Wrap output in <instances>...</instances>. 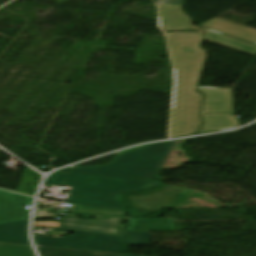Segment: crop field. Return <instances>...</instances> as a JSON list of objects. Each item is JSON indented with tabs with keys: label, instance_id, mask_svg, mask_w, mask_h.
Returning <instances> with one entry per match:
<instances>
[{
	"label": "crop field",
	"instance_id": "crop-field-16",
	"mask_svg": "<svg viewBox=\"0 0 256 256\" xmlns=\"http://www.w3.org/2000/svg\"><path fill=\"white\" fill-rule=\"evenodd\" d=\"M129 245H150V232H128Z\"/></svg>",
	"mask_w": 256,
	"mask_h": 256
},
{
	"label": "crop field",
	"instance_id": "crop-field-7",
	"mask_svg": "<svg viewBox=\"0 0 256 256\" xmlns=\"http://www.w3.org/2000/svg\"><path fill=\"white\" fill-rule=\"evenodd\" d=\"M32 199L0 190V223L28 219L29 210H23V204H31Z\"/></svg>",
	"mask_w": 256,
	"mask_h": 256
},
{
	"label": "crop field",
	"instance_id": "crop-field-2",
	"mask_svg": "<svg viewBox=\"0 0 256 256\" xmlns=\"http://www.w3.org/2000/svg\"><path fill=\"white\" fill-rule=\"evenodd\" d=\"M174 141L141 146L117 153L105 166L71 167L61 172L93 173L159 179L158 173L173 148Z\"/></svg>",
	"mask_w": 256,
	"mask_h": 256
},
{
	"label": "crop field",
	"instance_id": "crop-field-10",
	"mask_svg": "<svg viewBox=\"0 0 256 256\" xmlns=\"http://www.w3.org/2000/svg\"><path fill=\"white\" fill-rule=\"evenodd\" d=\"M27 220L0 224V242L28 245Z\"/></svg>",
	"mask_w": 256,
	"mask_h": 256
},
{
	"label": "crop field",
	"instance_id": "crop-field-12",
	"mask_svg": "<svg viewBox=\"0 0 256 256\" xmlns=\"http://www.w3.org/2000/svg\"><path fill=\"white\" fill-rule=\"evenodd\" d=\"M209 41L256 55V45L205 29Z\"/></svg>",
	"mask_w": 256,
	"mask_h": 256
},
{
	"label": "crop field",
	"instance_id": "crop-field-9",
	"mask_svg": "<svg viewBox=\"0 0 256 256\" xmlns=\"http://www.w3.org/2000/svg\"><path fill=\"white\" fill-rule=\"evenodd\" d=\"M120 195L72 190L68 203L123 208Z\"/></svg>",
	"mask_w": 256,
	"mask_h": 256
},
{
	"label": "crop field",
	"instance_id": "crop-field-21",
	"mask_svg": "<svg viewBox=\"0 0 256 256\" xmlns=\"http://www.w3.org/2000/svg\"><path fill=\"white\" fill-rule=\"evenodd\" d=\"M128 256H132V255H128Z\"/></svg>",
	"mask_w": 256,
	"mask_h": 256
},
{
	"label": "crop field",
	"instance_id": "crop-field-11",
	"mask_svg": "<svg viewBox=\"0 0 256 256\" xmlns=\"http://www.w3.org/2000/svg\"><path fill=\"white\" fill-rule=\"evenodd\" d=\"M128 231H175L170 218L129 219Z\"/></svg>",
	"mask_w": 256,
	"mask_h": 256
},
{
	"label": "crop field",
	"instance_id": "crop-field-1",
	"mask_svg": "<svg viewBox=\"0 0 256 256\" xmlns=\"http://www.w3.org/2000/svg\"><path fill=\"white\" fill-rule=\"evenodd\" d=\"M175 68V91L170 136L192 134L200 126L202 95L195 93L206 53L199 48L201 34H167Z\"/></svg>",
	"mask_w": 256,
	"mask_h": 256
},
{
	"label": "crop field",
	"instance_id": "crop-field-6",
	"mask_svg": "<svg viewBox=\"0 0 256 256\" xmlns=\"http://www.w3.org/2000/svg\"><path fill=\"white\" fill-rule=\"evenodd\" d=\"M122 219L108 218V219H96L84 220L76 218L63 217L61 219V228L122 235L125 236L126 225L119 224Z\"/></svg>",
	"mask_w": 256,
	"mask_h": 256
},
{
	"label": "crop field",
	"instance_id": "crop-field-14",
	"mask_svg": "<svg viewBox=\"0 0 256 256\" xmlns=\"http://www.w3.org/2000/svg\"><path fill=\"white\" fill-rule=\"evenodd\" d=\"M37 249L41 256H123L120 254L41 248V247H37Z\"/></svg>",
	"mask_w": 256,
	"mask_h": 256
},
{
	"label": "crop field",
	"instance_id": "crop-field-4",
	"mask_svg": "<svg viewBox=\"0 0 256 256\" xmlns=\"http://www.w3.org/2000/svg\"><path fill=\"white\" fill-rule=\"evenodd\" d=\"M54 230L74 232V235L64 238L34 236L36 246L127 253L125 237L61 228H54Z\"/></svg>",
	"mask_w": 256,
	"mask_h": 256
},
{
	"label": "crop field",
	"instance_id": "crop-field-5",
	"mask_svg": "<svg viewBox=\"0 0 256 256\" xmlns=\"http://www.w3.org/2000/svg\"><path fill=\"white\" fill-rule=\"evenodd\" d=\"M205 94L201 116L204 122L197 134L210 133L237 127L231 108V90L222 88H197Z\"/></svg>",
	"mask_w": 256,
	"mask_h": 256
},
{
	"label": "crop field",
	"instance_id": "crop-field-19",
	"mask_svg": "<svg viewBox=\"0 0 256 256\" xmlns=\"http://www.w3.org/2000/svg\"><path fill=\"white\" fill-rule=\"evenodd\" d=\"M53 208L36 209L35 218L56 217L55 213L48 214Z\"/></svg>",
	"mask_w": 256,
	"mask_h": 256
},
{
	"label": "crop field",
	"instance_id": "crop-field-13",
	"mask_svg": "<svg viewBox=\"0 0 256 256\" xmlns=\"http://www.w3.org/2000/svg\"><path fill=\"white\" fill-rule=\"evenodd\" d=\"M72 213L94 215V216L126 218L125 210L106 208V207L86 206V205H74V209Z\"/></svg>",
	"mask_w": 256,
	"mask_h": 256
},
{
	"label": "crop field",
	"instance_id": "crop-field-8",
	"mask_svg": "<svg viewBox=\"0 0 256 256\" xmlns=\"http://www.w3.org/2000/svg\"><path fill=\"white\" fill-rule=\"evenodd\" d=\"M157 1L160 6L159 17L162 29L192 25L189 16L182 12L181 5L183 0Z\"/></svg>",
	"mask_w": 256,
	"mask_h": 256
},
{
	"label": "crop field",
	"instance_id": "crop-field-20",
	"mask_svg": "<svg viewBox=\"0 0 256 256\" xmlns=\"http://www.w3.org/2000/svg\"><path fill=\"white\" fill-rule=\"evenodd\" d=\"M53 206V203H38L37 207Z\"/></svg>",
	"mask_w": 256,
	"mask_h": 256
},
{
	"label": "crop field",
	"instance_id": "crop-field-3",
	"mask_svg": "<svg viewBox=\"0 0 256 256\" xmlns=\"http://www.w3.org/2000/svg\"><path fill=\"white\" fill-rule=\"evenodd\" d=\"M66 173L55 172L44 183L63 185ZM159 181L139 178L87 175L68 173L64 183L77 190L126 194L131 191L143 190L159 185Z\"/></svg>",
	"mask_w": 256,
	"mask_h": 256
},
{
	"label": "crop field",
	"instance_id": "crop-field-17",
	"mask_svg": "<svg viewBox=\"0 0 256 256\" xmlns=\"http://www.w3.org/2000/svg\"><path fill=\"white\" fill-rule=\"evenodd\" d=\"M162 209H128L129 217H142L161 211Z\"/></svg>",
	"mask_w": 256,
	"mask_h": 256
},
{
	"label": "crop field",
	"instance_id": "crop-field-18",
	"mask_svg": "<svg viewBox=\"0 0 256 256\" xmlns=\"http://www.w3.org/2000/svg\"><path fill=\"white\" fill-rule=\"evenodd\" d=\"M163 31H165L166 33H202L203 34V31L198 29L197 26L165 29Z\"/></svg>",
	"mask_w": 256,
	"mask_h": 256
},
{
	"label": "crop field",
	"instance_id": "crop-field-15",
	"mask_svg": "<svg viewBox=\"0 0 256 256\" xmlns=\"http://www.w3.org/2000/svg\"><path fill=\"white\" fill-rule=\"evenodd\" d=\"M0 256H34L30 246L0 244Z\"/></svg>",
	"mask_w": 256,
	"mask_h": 256
}]
</instances>
